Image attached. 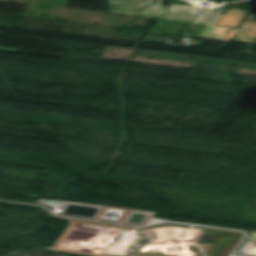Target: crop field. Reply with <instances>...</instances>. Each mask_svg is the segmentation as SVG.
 <instances>
[{"label":"crop field","instance_id":"crop-field-2","mask_svg":"<svg viewBox=\"0 0 256 256\" xmlns=\"http://www.w3.org/2000/svg\"><path fill=\"white\" fill-rule=\"evenodd\" d=\"M224 12L225 10H217V9L211 10L204 17H202L201 20L197 23L217 25L218 21L220 20Z\"/></svg>","mask_w":256,"mask_h":256},{"label":"crop field","instance_id":"crop-field-1","mask_svg":"<svg viewBox=\"0 0 256 256\" xmlns=\"http://www.w3.org/2000/svg\"><path fill=\"white\" fill-rule=\"evenodd\" d=\"M110 12L112 14L178 20L184 22L195 23L197 14L202 15L207 8L181 6L171 4L170 7L165 8L164 3L147 2L137 0H109Z\"/></svg>","mask_w":256,"mask_h":256}]
</instances>
